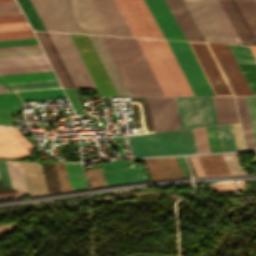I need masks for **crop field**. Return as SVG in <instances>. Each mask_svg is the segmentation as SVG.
Listing matches in <instances>:
<instances>
[{
    "mask_svg": "<svg viewBox=\"0 0 256 256\" xmlns=\"http://www.w3.org/2000/svg\"><path fill=\"white\" fill-rule=\"evenodd\" d=\"M102 38L131 96L163 95L135 38Z\"/></svg>",
    "mask_w": 256,
    "mask_h": 256,
    "instance_id": "obj_1",
    "label": "crop field"
},
{
    "mask_svg": "<svg viewBox=\"0 0 256 256\" xmlns=\"http://www.w3.org/2000/svg\"><path fill=\"white\" fill-rule=\"evenodd\" d=\"M137 40L165 95H193L166 40Z\"/></svg>",
    "mask_w": 256,
    "mask_h": 256,
    "instance_id": "obj_2",
    "label": "crop field"
},
{
    "mask_svg": "<svg viewBox=\"0 0 256 256\" xmlns=\"http://www.w3.org/2000/svg\"><path fill=\"white\" fill-rule=\"evenodd\" d=\"M183 131L184 133H182ZM128 138L129 144H132L134 157L197 153L192 129ZM132 148L130 145L131 154Z\"/></svg>",
    "mask_w": 256,
    "mask_h": 256,
    "instance_id": "obj_3",
    "label": "crop field"
},
{
    "mask_svg": "<svg viewBox=\"0 0 256 256\" xmlns=\"http://www.w3.org/2000/svg\"><path fill=\"white\" fill-rule=\"evenodd\" d=\"M181 128L218 124L212 97H175Z\"/></svg>",
    "mask_w": 256,
    "mask_h": 256,
    "instance_id": "obj_4",
    "label": "crop field"
},
{
    "mask_svg": "<svg viewBox=\"0 0 256 256\" xmlns=\"http://www.w3.org/2000/svg\"><path fill=\"white\" fill-rule=\"evenodd\" d=\"M134 36L164 39L143 0H115Z\"/></svg>",
    "mask_w": 256,
    "mask_h": 256,
    "instance_id": "obj_5",
    "label": "crop field"
},
{
    "mask_svg": "<svg viewBox=\"0 0 256 256\" xmlns=\"http://www.w3.org/2000/svg\"><path fill=\"white\" fill-rule=\"evenodd\" d=\"M101 96H117L87 35L70 34Z\"/></svg>",
    "mask_w": 256,
    "mask_h": 256,
    "instance_id": "obj_6",
    "label": "crop field"
},
{
    "mask_svg": "<svg viewBox=\"0 0 256 256\" xmlns=\"http://www.w3.org/2000/svg\"><path fill=\"white\" fill-rule=\"evenodd\" d=\"M194 95H213L187 42L167 40Z\"/></svg>",
    "mask_w": 256,
    "mask_h": 256,
    "instance_id": "obj_7",
    "label": "crop field"
},
{
    "mask_svg": "<svg viewBox=\"0 0 256 256\" xmlns=\"http://www.w3.org/2000/svg\"><path fill=\"white\" fill-rule=\"evenodd\" d=\"M233 94L252 95L227 45L208 43ZM230 78V79H228Z\"/></svg>",
    "mask_w": 256,
    "mask_h": 256,
    "instance_id": "obj_8",
    "label": "crop field"
},
{
    "mask_svg": "<svg viewBox=\"0 0 256 256\" xmlns=\"http://www.w3.org/2000/svg\"><path fill=\"white\" fill-rule=\"evenodd\" d=\"M155 132L180 128L174 97H147Z\"/></svg>",
    "mask_w": 256,
    "mask_h": 256,
    "instance_id": "obj_9",
    "label": "crop field"
},
{
    "mask_svg": "<svg viewBox=\"0 0 256 256\" xmlns=\"http://www.w3.org/2000/svg\"><path fill=\"white\" fill-rule=\"evenodd\" d=\"M215 95H232L207 44L189 42ZM220 81L219 83L217 81Z\"/></svg>",
    "mask_w": 256,
    "mask_h": 256,
    "instance_id": "obj_10",
    "label": "crop field"
},
{
    "mask_svg": "<svg viewBox=\"0 0 256 256\" xmlns=\"http://www.w3.org/2000/svg\"><path fill=\"white\" fill-rule=\"evenodd\" d=\"M108 35L133 36L114 0H89Z\"/></svg>",
    "mask_w": 256,
    "mask_h": 256,
    "instance_id": "obj_11",
    "label": "crop field"
},
{
    "mask_svg": "<svg viewBox=\"0 0 256 256\" xmlns=\"http://www.w3.org/2000/svg\"><path fill=\"white\" fill-rule=\"evenodd\" d=\"M165 39L185 40L163 0H144Z\"/></svg>",
    "mask_w": 256,
    "mask_h": 256,
    "instance_id": "obj_12",
    "label": "crop field"
},
{
    "mask_svg": "<svg viewBox=\"0 0 256 256\" xmlns=\"http://www.w3.org/2000/svg\"><path fill=\"white\" fill-rule=\"evenodd\" d=\"M34 147L18 131V129L0 127V156L18 157L28 155Z\"/></svg>",
    "mask_w": 256,
    "mask_h": 256,
    "instance_id": "obj_13",
    "label": "crop field"
},
{
    "mask_svg": "<svg viewBox=\"0 0 256 256\" xmlns=\"http://www.w3.org/2000/svg\"><path fill=\"white\" fill-rule=\"evenodd\" d=\"M186 40L204 41L183 0H164Z\"/></svg>",
    "mask_w": 256,
    "mask_h": 256,
    "instance_id": "obj_14",
    "label": "crop field"
},
{
    "mask_svg": "<svg viewBox=\"0 0 256 256\" xmlns=\"http://www.w3.org/2000/svg\"><path fill=\"white\" fill-rule=\"evenodd\" d=\"M119 96H130L101 36L89 35Z\"/></svg>",
    "mask_w": 256,
    "mask_h": 256,
    "instance_id": "obj_15",
    "label": "crop field"
},
{
    "mask_svg": "<svg viewBox=\"0 0 256 256\" xmlns=\"http://www.w3.org/2000/svg\"><path fill=\"white\" fill-rule=\"evenodd\" d=\"M253 95H256V62L248 46L228 45Z\"/></svg>",
    "mask_w": 256,
    "mask_h": 256,
    "instance_id": "obj_16",
    "label": "crop field"
},
{
    "mask_svg": "<svg viewBox=\"0 0 256 256\" xmlns=\"http://www.w3.org/2000/svg\"><path fill=\"white\" fill-rule=\"evenodd\" d=\"M63 87L75 88L48 33L34 31Z\"/></svg>",
    "mask_w": 256,
    "mask_h": 256,
    "instance_id": "obj_17",
    "label": "crop field"
},
{
    "mask_svg": "<svg viewBox=\"0 0 256 256\" xmlns=\"http://www.w3.org/2000/svg\"><path fill=\"white\" fill-rule=\"evenodd\" d=\"M242 44L256 45V41L234 0H219Z\"/></svg>",
    "mask_w": 256,
    "mask_h": 256,
    "instance_id": "obj_18",
    "label": "crop field"
},
{
    "mask_svg": "<svg viewBox=\"0 0 256 256\" xmlns=\"http://www.w3.org/2000/svg\"><path fill=\"white\" fill-rule=\"evenodd\" d=\"M154 179L183 177L175 158L144 159Z\"/></svg>",
    "mask_w": 256,
    "mask_h": 256,
    "instance_id": "obj_19",
    "label": "crop field"
},
{
    "mask_svg": "<svg viewBox=\"0 0 256 256\" xmlns=\"http://www.w3.org/2000/svg\"><path fill=\"white\" fill-rule=\"evenodd\" d=\"M29 194L32 196L45 195L47 189L39 163L21 162Z\"/></svg>",
    "mask_w": 256,
    "mask_h": 256,
    "instance_id": "obj_20",
    "label": "crop field"
},
{
    "mask_svg": "<svg viewBox=\"0 0 256 256\" xmlns=\"http://www.w3.org/2000/svg\"><path fill=\"white\" fill-rule=\"evenodd\" d=\"M116 176L105 177L108 186L144 181L141 169L129 170L126 163L113 162Z\"/></svg>",
    "mask_w": 256,
    "mask_h": 256,
    "instance_id": "obj_21",
    "label": "crop field"
},
{
    "mask_svg": "<svg viewBox=\"0 0 256 256\" xmlns=\"http://www.w3.org/2000/svg\"><path fill=\"white\" fill-rule=\"evenodd\" d=\"M246 149L256 148L245 97H235Z\"/></svg>",
    "mask_w": 256,
    "mask_h": 256,
    "instance_id": "obj_22",
    "label": "crop field"
},
{
    "mask_svg": "<svg viewBox=\"0 0 256 256\" xmlns=\"http://www.w3.org/2000/svg\"><path fill=\"white\" fill-rule=\"evenodd\" d=\"M219 124L238 122L233 97H213Z\"/></svg>",
    "mask_w": 256,
    "mask_h": 256,
    "instance_id": "obj_23",
    "label": "crop field"
},
{
    "mask_svg": "<svg viewBox=\"0 0 256 256\" xmlns=\"http://www.w3.org/2000/svg\"><path fill=\"white\" fill-rule=\"evenodd\" d=\"M211 8L214 16L216 17L219 25L221 26L224 34L226 35L229 43L241 44L238 36L236 35L233 27L231 26L228 18L226 17L223 9L221 8L218 0H206Z\"/></svg>",
    "mask_w": 256,
    "mask_h": 256,
    "instance_id": "obj_24",
    "label": "crop field"
},
{
    "mask_svg": "<svg viewBox=\"0 0 256 256\" xmlns=\"http://www.w3.org/2000/svg\"><path fill=\"white\" fill-rule=\"evenodd\" d=\"M20 109V101L12 92L0 94V124L12 126L11 111Z\"/></svg>",
    "mask_w": 256,
    "mask_h": 256,
    "instance_id": "obj_25",
    "label": "crop field"
},
{
    "mask_svg": "<svg viewBox=\"0 0 256 256\" xmlns=\"http://www.w3.org/2000/svg\"><path fill=\"white\" fill-rule=\"evenodd\" d=\"M207 176L230 175L221 155L198 156Z\"/></svg>",
    "mask_w": 256,
    "mask_h": 256,
    "instance_id": "obj_26",
    "label": "crop field"
},
{
    "mask_svg": "<svg viewBox=\"0 0 256 256\" xmlns=\"http://www.w3.org/2000/svg\"><path fill=\"white\" fill-rule=\"evenodd\" d=\"M42 63H48L43 53L0 57V67Z\"/></svg>",
    "mask_w": 256,
    "mask_h": 256,
    "instance_id": "obj_27",
    "label": "crop field"
},
{
    "mask_svg": "<svg viewBox=\"0 0 256 256\" xmlns=\"http://www.w3.org/2000/svg\"><path fill=\"white\" fill-rule=\"evenodd\" d=\"M56 79L52 71L0 76L1 83Z\"/></svg>",
    "mask_w": 256,
    "mask_h": 256,
    "instance_id": "obj_28",
    "label": "crop field"
},
{
    "mask_svg": "<svg viewBox=\"0 0 256 256\" xmlns=\"http://www.w3.org/2000/svg\"><path fill=\"white\" fill-rule=\"evenodd\" d=\"M72 190L86 188L80 163H64Z\"/></svg>",
    "mask_w": 256,
    "mask_h": 256,
    "instance_id": "obj_29",
    "label": "crop field"
},
{
    "mask_svg": "<svg viewBox=\"0 0 256 256\" xmlns=\"http://www.w3.org/2000/svg\"><path fill=\"white\" fill-rule=\"evenodd\" d=\"M13 189L28 194L20 162L6 161ZM29 195V194H28Z\"/></svg>",
    "mask_w": 256,
    "mask_h": 256,
    "instance_id": "obj_30",
    "label": "crop field"
},
{
    "mask_svg": "<svg viewBox=\"0 0 256 256\" xmlns=\"http://www.w3.org/2000/svg\"><path fill=\"white\" fill-rule=\"evenodd\" d=\"M23 100L65 97L61 88L17 92Z\"/></svg>",
    "mask_w": 256,
    "mask_h": 256,
    "instance_id": "obj_31",
    "label": "crop field"
},
{
    "mask_svg": "<svg viewBox=\"0 0 256 256\" xmlns=\"http://www.w3.org/2000/svg\"><path fill=\"white\" fill-rule=\"evenodd\" d=\"M235 1L256 37V7L254 3L252 2V0Z\"/></svg>",
    "mask_w": 256,
    "mask_h": 256,
    "instance_id": "obj_32",
    "label": "crop field"
},
{
    "mask_svg": "<svg viewBox=\"0 0 256 256\" xmlns=\"http://www.w3.org/2000/svg\"><path fill=\"white\" fill-rule=\"evenodd\" d=\"M17 1L21 6L25 16L27 17L32 29L45 30L30 1L29 0H17Z\"/></svg>",
    "mask_w": 256,
    "mask_h": 256,
    "instance_id": "obj_33",
    "label": "crop field"
},
{
    "mask_svg": "<svg viewBox=\"0 0 256 256\" xmlns=\"http://www.w3.org/2000/svg\"><path fill=\"white\" fill-rule=\"evenodd\" d=\"M13 90L60 87L57 80L6 84Z\"/></svg>",
    "mask_w": 256,
    "mask_h": 256,
    "instance_id": "obj_34",
    "label": "crop field"
},
{
    "mask_svg": "<svg viewBox=\"0 0 256 256\" xmlns=\"http://www.w3.org/2000/svg\"><path fill=\"white\" fill-rule=\"evenodd\" d=\"M218 127L224 151L237 150L231 124Z\"/></svg>",
    "mask_w": 256,
    "mask_h": 256,
    "instance_id": "obj_35",
    "label": "crop field"
},
{
    "mask_svg": "<svg viewBox=\"0 0 256 256\" xmlns=\"http://www.w3.org/2000/svg\"><path fill=\"white\" fill-rule=\"evenodd\" d=\"M51 70L49 64L0 68V75Z\"/></svg>",
    "mask_w": 256,
    "mask_h": 256,
    "instance_id": "obj_36",
    "label": "crop field"
},
{
    "mask_svg": "<svg viewBox=\"0 0 256 256\" xmlns=\"http://www.w3.org/2000/svg\"><path fill=\"white\" fill-rule=\"evenodd\" d=\"M211 152L223 151L217 126L205 127Z\"/></svg>",
    "mask_w": 256,
    "mask_h": 256,
    "instance_id": "obj_37",
    "label": "crop field"
},
{
    "mask_svg": "<svg viewBox=\"0 0 256 256\" xmlns=\"http://www.w3.org/2000/svg\"><path fill=\"white\" fill-rule=\"evenodd\" d=\"M198 153L210 152L204 127L193 129Z\"/></svg>",
    "mask_w": 256,
    "mask_h": 256,
    "instance_id": "obj_38",
    "label": "crop field"
},
{
    "mask_svg": "<svg viewBox=\"0 0 256 256\" xmlns=\"http://www.w3.org/2000/svg\"><path fill=\"white\" fill-rule=\"evenodd\" d=\"M55 165V169H56V173H57V177H59V182H60V186L62 187V191H67V190H71L69 183H68V179H67V175L65 172V168H64V164L63 163H54Z\"/></svg>",
    "mask_w": 256,
    "mask_h": 256,
    "instance_id": "obj_39",
    "label": "crop field"
},
{
    "mask_svg": "<svg viewBox=\"0 0 256 256\" xmlns=\"http://www.w3.org/2000/svg\"><path fill=\"white\" fill-rule=\"evenodd\" d=\"M30 37H35L32 30L0 33V40L30 38Z\"/></svg>",
    "mask_w": 256,
    "mask_h": 256,
    "instance_id": "obj_40",
    "label": "crop field"
},
{
    "mask_svg": "<svg viewBox=\"0 0 256 256\" xmlns=\"http://www.w3.org/2000/svg\"><path fill=\"white\" fill-rule=\"evenodd\" d=\"M231 175L243 174L234 154L222 155Z\"/></svg>",
    "mask_w": 256,
    "mask_h": 256,
    "instance_id": "obj_41",
    "label": "crop field"
},
{
    "mask_svg": "<svg viewBox=\"0 0 256 256\" xmlns=\"http://www.w3.org/2000/svg\"><path fill=\"white\" fill-rule=\"evenodd\" d=\"M256 141V97H246Z\"/></svg>",
    "mask_w": 256,
    "mask_h": 256,
    "instance_id": "obj_42",
    "label": "crop field"
},
{
    "mask_svg": "<svg viewBox=\"0 0 256 256\" xmlns=\"http://www.w3.org/2000/svg\"><path fill=\"white\" fill-rule=\"evenodd\" d=\"M21 12L15 0H0V13Z\"/></svg>",
    "mask_w": 256,
    "mask_h": 256,
    "instance_id": "obj_43",
    "label": "crop field"
},
{
    "mask_svg": "<svg viewBox=\"0 0 256 256\" xmlns=\"http://www.w3.org/2000/svg\"><path fill=\"white\" fill-rule=\"evenodd\" d=\"M38 44L35 38L0 41V47Z\"/></svg>",
    "mask_w": 256,
    "mask_h": 256,
    "instance_id": "obj_44",
    "label": "crop field"
},
{
    "mask_svg": "<svg viewBox=\"0 0 256 256\" xmlns=\"http://www.w3.org/2000/svg\"><path fill=\"white\" fill-rule=\"evenodd\" d=\"M30 29L27 22L0 24V32Z\"/></svg>",
    "mask_w": 256,
    "mask_h": 256,
    "instance_id": "obj_45",
    "label": "crop field"
},
{
    "mask_svg": "<svg viewBox=\"0 0 256 256\" xmlns=\"http://www.w3.org/2000/svg\"><path fill=\"white\" fill-rule=\"evenodd\" d=\"M21 21H26L23 14L21 13L0 15V23L21 22Z\"/></svg>",
    "mask_w": 256,
    "mask_h": 256,
    "instance_id": "obj_46",
    "label": "crop field"
},
{
    "mask_svg": "<svg viewBox=\"0 0 256 256\" xmlns=\"http://www.w3.org/2000/svg\"><path fill=\"white\" fill-rule=\"evenodd\" d=\"M0 182L11 187L7 167L5 161H0ZM12 188V187H11Z\"/></svg>",
    "mask_w": 256,
    "mask_h": 256,
    "instance_id": "obj_47",
    "label": "crop field"
},
{
    "mask_svg": "<svg viewBox=\"0 0 256 256\" xmlns=\"http://www.w3.org/2000/svg\"><path fill=\"white\" fill-rule=\"evenodd\" d=\"M196 176L205 175L197 156L188 157Z\"/></svg>",
    "mask_w": 256,
    "mask_h": 256,
    "instance_id": "obj_48",
    "label": "crop field"
},
{
    "mask_svg": "<svg viewBox=\"0 0 256 256\" xmlns=\"http://www.w3.org/2000/svg\"><path fill=\"white\" fill-rule=\"evenodd\" d=\"M37 52H43V51H42V49H36V50L3 52V53H0V56H1V55H13V54H25V53H37Z\"/></svg>",
    "mask_w": 256,
    "mask_h": 256,
    "instance_id": "obj_49",
    "label": "crop field"
},
{
    "mask_svg": "<svg viewBox=\"0 0 256 256\" xmlns=\"http://www.w3.org/2000/svg\"><path fill=\"white\" fill-rule=\"evenodd\" d=\"M249 48H250V50H251V52H252V54H253V56L256 60V46H249Z\"/></svg>",
    "mask_w": 256,
    "mask_h": 256,
    "instance_id": "obj_50",
    "label": "crop field"
},
{
    "mask_svg": "<svg viewBox=\"0 0 256 256\" xmlns=\"http://www.w3.org/2000/svg\"><path fill=\"white\" fill-rule=\"evenodd\" d=\"M8 90L0 86V93L1 92H7Z\"/></svg>",
    "mask_w": 256,
    "mask_h": 256,
    "instance_id": "obj_51",
    "label": "crop field"
},
{
    "mask_svg": "<svg viewBox=\"0 0 256 256\" xmlns=\"http://www.w3.org/2000/svg\"><path fill=\"white\" fill-rule=\"evenodd\" d=\"M253 1H254L255 5H256V0H253Z\"/></svg>",
    "mask_w": 256,
    "mask_h": 256,
    "instance_id": "obj_52",
    "label": "crop field"
},
{
    "mask_svg": "<svg viewBox=\"0 0 256 256\" xmlns=\"http://www.w3.org/2000/svg\"><path fill=\"white\" fill-rule=\"evenodd\" d=\"M254 163H256V158H255V160H254Z\"/></svg>",
    "mask_w": 256,
    "mask_h": 256,
    "instance_id": "obj_53",
    "label": "crop field"
}]
</instances>
